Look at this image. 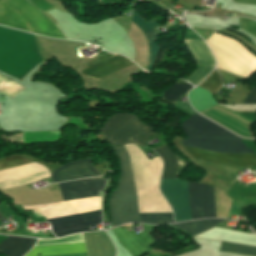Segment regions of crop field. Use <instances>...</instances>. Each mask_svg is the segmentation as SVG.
<instances>
[{
	"label": "crop field",
	"instance_id": "obj_23",
	"mask_svg": "<svg viewBox=\"0 0 256 256\" xmlns=\"http://www.w3.org/2000/svg\"><path fill=\"white\" fill-rule=\"evenodd\" d=\"M142 222L163 224L173 221L172 213L140 214Z\"/></svg>",
	"mask_w": 256,
	"mask_h": 256
},
{
	"label": "crop field",
	"instance_id": "obj_21",
	"mask_svg": "<svg viewBox=\"0 0 256 256\" xmlns=\"http://www.w3.org/2000/svg\"><path fill=\"white\" fill-rule=\"evenodd\" d=\"M220 251L256 256V247L223 242Z\"/></svg>",
	"mask_w": 256,
	"mask_h": 256
},
{
	"label": "crop field",
	"instance_id": "obj_7",
	"mask_svg": "<svg viewBox=\"0 0 256 256\" xmlns=\"http://www.w3.org/2000/svg\"><path fill=\"white\" fill-rule=\"evenodd\" d=\"M108 142L119 145L138 143L145 145L153 129L132 113H115L100 127Z\"/></svg>",
	"mask_w": 256,
	"mask_h": 256
},
{
	"label": "crop field",
	"instance_id": "obj_17",
	"mask_svg": "<svg viewBox=\"0 0 256 256\" xmlns=\"http://www.w3.org/2000/svg\"><path fill=\"white\" fill-rule=\"evenodd\" d=\"M226 220L221 219H204V220H198V221H192V222H186V223H180V224H172L171 226L180 228L182 230H185L187 232H190L193 236L208 230Z\"/></svg>",
	"mask_w": 256,
	"mask_h": 256
},
{
	"label": "crop field",
	"instance_id": "obj_8",
	"mask_svg": "<svg viewBox=\"0 0 256 256\" xmlns=\"http://www.w3.org/2000/svg\"><path fill=\"white\" fill-rule=\"evenodd\" d=\"M31 163V161L16 155L0 159V169ZM49 171L38 164L31 163L10 169L0 170V189H8L24 185L45 177H49Z\"/></svg>",
	"mask_w": 256,
	"mask_h": 256
},
{
	"label": "crop field",
	"instance_id": "obj_11",
	"mask_svg": "<svg viewBox=\"0 0 256 256\" xmlns=\"http://www.w3.org/2000/svg\"><path fill=\"white\" fill-rule=\"evenodd\" d=\"M99 175L92 167L90 158L71 162L52 173L53 182Z\"/></svg>",
	"mask_w": 256,
	"mask_h": 256
},
{
	"label": "crop field",
	"instance_id": "obj_22",
	"mask_svg": "<svg viewBox=\"0 0 256 256\" xmlns=\"http://www.w3.org/2000/svg\"><path fill=\"white\" fill-rule=\"evenodd\" d=\"M222 84H223V82L220 78V75L217 72V70L215 69L211 73V75L199 86L210 91L211 95L213 96V94L221 88Z\"/></svg>",
	"mask_w": 256,
	"mask_h": 256
},
{
	"label": "crop field",
	"instance_id": "obj_14",
	"mask_svg": "<svg viewBox=\"0 0 256 256\" xmlns=\"http://www.w3.org/2000/svg\"><path fill=\"white\" fill-rule=\"evenodd\" d=\"M132 18L145 30L147 37L150 41V44L152 46L149 59L146 65L145 70L147 71H152L153 65L155 63L159 47L156 46L157 44V39H158V33L153 29L157 27V23L155 20L153 21H145L135 10L132 12Z\"/></svg>",
	"mask_w": 256,
	"mask_h": 256
},
{
	"label": "crop field",
	"instance_id": "obj_4",
	"mask_svg": "<svg viewBox=\"0 0 256 256\" xmlns=\"http://www.w3.org/2000/svg\"><path fill=\"white\" fill-rule=\"evenodd\" d=\"M112 148L120 160L121 167L117 190L112 192L109 201L112 227L125 222H141L130 159L124 146Z\"/></svg>",
	"mask_w": 256,
	"mask_h": 256
},
{
	"label": "crop field",
	"instance_id": "obj_26",
	"mask_svg": "<svg viewBox=\"0 0 256 256\" xmlns=\"http://www.w3.org/2000/svg\"><path fill=\"white\" fill-rule=\"evenodd\" d=\"M4 218L1 214H0V219Z\"/></svg>",
	"mask_w": 256,
	"mask_h": 256
},
{
	"label": "crop field",
	"instance_id": "obj_15",
	"mask_svg": "<svg viewBox=\"0 0 256 256\" xmlns=\"http://www.w3.org/2000/svg\"><path fill=\"white\" fill-rule=\"evenodd\" d=\"M37 239L10 236L0 244V253L6 256H23Z\"/></svg>",
	"mask_w": 256,
	"mask_h": 256
},
{
	"label": "crop field",
	"instance_id": "obj_10",
	"mask_svg": "<svg viewBox=\"0 0 256 256\" xmlns=\"http://www.w3.org/2000/svg\"><path fill=\"white\" fill-rule=\"evenodd\" d=\"M185 44L191 51L198 68L185 80L193 85L200 83L215 67V60L210 49L204 41L184 39Z\"/></svg>",
	"mask_w": 256,
	"mask_h": 256
},
{
	"label": "crop field",
	"instance_id": "obj_9",
	"mask_svg": "<svg viewBox=\"0 0 256 256\" xmlns=\"http://www.w3.org/2000/svg\"><path fill=\"white\" fill-rule=\"evenodd\" d=\"M146 229L137 237L121 226L112 229L119 243L132 255L144 256V254L157 242L149 234L157 226L143 225Z\"/></svg>",
	"mask_w": 256,
	"mask_h": 256
},
{
	"label": "crop field",
	"instance_id": "obj_5",
	"mask_svg": "<svg viewBox=\"0 0 256 256\" xmlns=\"http://www.w3.org/2000/svg\"><path fill=\"white\" fill-rule=\"evenodd\" d=\"M0 24L63 39L55 25L25 0H0Z\"/></svg>",
	"mask_w": 256,
	"mask_h": 256
},
{
	"label": "crop field",
	"instance_id": "obj_13",
	"mask_svg": "<svg viewBox=\"0 0 256 256\" xmlns=\"http://www.w3.org/2000/svg\"><path fill=\"white\" fill-rule=\"evenodd\" d=\"M169 152L173 156L175 162H176V178L179 177V175L182 173V171L187 166V162L182 160L180 157H178L175 153H173L169 147L166 145ZM165 145L158 147L154 149L160 156L163 157L164 161V173L162 179H173L175 178V163L173 158L171 157L170 153L166 149Z\"/></svg>",
	"mask_w": 256,
	"mask_h": 256
},
{
	"label": "crop field",
	"instance_id": "obj_24",
	"mask_svg": "<svg viewBox=\"0 0 256 256\" xmlns=\"http://www.w3.org/2000/svg\"><path fill=\"white\" fill-rule=\"evenodd\" d=\"M22 89L23 88L11 82L10 79L0 75V93L12 97Z\"/></svg>",
	"mask_w": 256,
	"mask_h": 256
},
{
	"label": "crop field",
	"instance_id": "obj_20",
	"mask_svg": "<svg viewBox=\"0 0 256 256\" xmlns=\"http://www.w3.org/2000/svg\"><path fill=\"white\" fill-rule=\"evenodd\" d=\"M193 88L190 84H172L169 88L165 89L162 99L176 102V100L188 92L189 89Z\"/></svg>",
	"mask_w": 256,
	"mask_h": 256
},
{
	"label": "crop field",
	"instance_id": "obj_16",
	"mask_svg": "<svg viewBox=\"0 0 256 256\" xmlns=\"http://www.w3.org/2000/svg\"><path fill=\"white\" fill-rule=\"evenodd\" d=\"M188 97L191 105L198 112L217 104L208 91L198 86L189 92Z\"/></svg>",
	"mask_w": 256,
	"mask_h": 256
},
{
	"label": "crop field",
	"instance_id": "obj_12",
	"mask_svg": "<svg viewBox=\"0 0 256 256\" xmlns=\"http://www.w3.org/2000/svg\"><path fill=\"white\" fill-rule=\"evenodd\" d=\"M131 64H133V63H131L124 57H122L118 54H114V55L80 71V73H82L87 78L98 81L105 75H107L115 70L127 67Z\"/></svg>",
	"mask_w": 256,
	"mask_h": 256
},
{
	"label": "crop field",
	"instance_id": "obj_25",
	"mask_svg": "<svg viewBox=\"0 0 256 256\" xmlns=\"http://www.w3.org/2000/svg\"><path fill=\"white\" fill-rule=\"evenodd\" d=\"M242 104H256V88L252 87Z\"/></svg>",
	"mask_w": 256,
	"mask_h": 256
},
{
	"label": "crop field",
	"instance_id": "obj_27",
	"mask_svg": "<svg viewBox=\"0 0 256 256\" xmlns=\"http://www.w3.org/2000/svg\"><path fill=\"white\" fill-rule=\"evenodd\" d=\"M255 233H256V230L255 229H253V228H251Z\"/></svg>",
	"mask_w": 256,
	"mask_h": 256
},
{
	"label": "crop field",
	"instance_id": "obj_1",
	"mask_svg": "<svg viewBox=\"0 0 256 256\" xmlns=\"http://www.w3.org/2000/svg\"><path fill=\"white\" fill-rule=\"evenodd\" d=\"M106 180L102 177L82 179L59 184L63 201L98 196L102 194ZM24 210L42 209L46 219L100 209V196L67 202L23 206ZM36 217L43 216L41 210H33ZM57 236L90 231L87 226L101 223L100 210L48 220Z\"/></svg>",
	"mask_w": 256,
	"mask_h": 256
},
{
	"label": "crop field",
	"instance_id": "obj_19",
	"mask_svg": "<svg viewBox=\"0 0 256 256\" xmlns=\"http://www.w3.org/2000/svg\"><path fill=\"white\" fill-rule=\"evenodd\" d=\"M60 131L27 132V144L57 142Z\"/></svg>",
	"mask_w": 256,
	"mask_h": 256
},
{
	"label": "crop field",
	"instance_id": "obj_2",
	"mask_svg": "<svg viewBox=\"0 0 256 256\" xmlns=\"http://www.w3.org/2000/svg\"><path fill=\"white\" fill-rule=\"evenodd\" d=\"M188 139L181 143L206 150L229 153H254L247 148L241 138L213 124L199 114H194L181 125ZM184 145L198 159L224 164L251 167L256 165V154H228L206 151Z\"/></svg>",
	"mask_w": 256,
	"mask_h": 256
},
{
	"label": "crop field",
	"instance_id": "obj_6",
	"mask_svg": "<svg viewBox=\"0 0 256 256\" xmlns=\"http://www.w3.org/2000/svg\"><path fill=\"white\" fill-rule=\"evenodd\" d=\"M206 42L217 59V68L245 79L256 71V57L235 39L214 33Z\"/></svg>",
	"mask_w": 256,
	"mask_h": 256
},
{
	"label": "crop field",
	"instance_id": "obj_18",
	"mask_svg": "<svg viewBox=\"0 0 256 256\" xmlns=\"http://www.w3.org/2000/svg\"><path fill=\"white\" fill-rule=\"evenodd\" d=\"M78 244H84L82 234H75V235L67 236L64 238L57 239V240H39L34 248L65 246V245H78ZM86 255L87 254L68 255V256H86Z\"/></svg>",
	"mask_w": 256,
	"mask_h": 256
},
{
	"label": "crop field",
	"instance_id": "obj_3",
	"mask_svg": "<svg viewBox=\"0 0 256 256\" xmlns=\"http://www.w3.org/2000/svg\"><path fill=\"white\" fill-rule=\"evenodd\" d=\"M188 185L194 219L217 217L212 186L190 182ZM188 185L179 179L161 183V191L174 210L176 222L193 219Z\"/></svg>",
	"mask_w": 256,
	"mask_h": 256
}]
</instances>
